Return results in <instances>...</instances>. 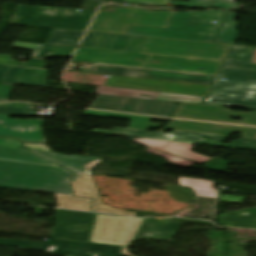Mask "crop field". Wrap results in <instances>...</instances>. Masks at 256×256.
<instances>
[{
	"mask_svg": "<svg viewBox=\"0 0 256 256\" xmlns=\"http://www.w3.org/2000/svg\"><path fill=\"white\" fill-rule=\"evenodd\" d=\"M254 50L231 46L203 104L256 107V64H251Z\"/></svg>",
	"mask_w": 256,
	"mask_h": 256,
	"instance_id": "crop-field-1",
	"label": "crop field"
},
{
	"mask_svg": "<svg viewBox=\"0 0 256 256\" xmlns=\"http://www.w3.org/2000/svg\"><path fill=\"white\" fill-rule=\"evenodd\" d=\"M224 11L173 13L166 28L130 25L126 35L212 43ZM211 21H216L211 24Z\"/></svg>",
	"mask_w": 256,
	"mask_h": 256,
	"instance_id": "crop-field-2",
	"label": "crop field"
},
{
	"mask_svg": "<svg viewBox=\"0 0 256 256\" xmlns=\"http://www.w3.org/2000/svg\"><path fill=\"white\" fill-rule=\"evenodd\" d=\"M71 172L62 167L0 160V187L72 195Z\"/></svg>",
	"mask_w": 256,
	"mask_h": 256,
	"instance_id": "crop-field-3",
	"label": "crop field"
},
{
	"mask_svg": "<svg viewBox=\"0 0 256 256\" xmlns=\"http://www.w3.org/2000/svg\"><path fill=\"white\" fill-rule=\"evenodd\" d=\"M95 12L19 5L10 24L85 31Z\"/></svg>",
	"mask_w": 256,
	"mask_h": 256,
	"instance_id": "crop-field-4",
	"label": "crop field"
},
{
	"mask_svg": "<svg viewBox=\"0 0 256 256\" xmlns=\"http://www.w3.org/2000/svg\"><path fill=\"white\" fill-rule=\"evenodd\" d=\"M0 245L52 252L59 256H121L122 247L51 239L46 243L0 239Z\"/></svg>",
	"mask_w": 256,
	"mask_h": 256,
	"instance_id": "crop-field-5",
	"label": "crop field"
},
{
	"mask_svg": "<svg viewBox=\"0 0 256 256\" xmlns=\"http://www.w3.org/2000/svg\"><path fill=\"white\" fill-rule=\"evenodd\" d=\"M228 46L147 38L141 52L222 61Z\"/></svg>",
	"mask_w": 256,
	"mask_h": 256,
	"instance_id": "crop-field-6",
	"label": "crop field"
},
{
	"mask_svg": "<svg viewBox=\"0 0 256 256\" xmlns=\"http://www.w3.org/2000/svg\"><path fill=\"white\" fill-rule=\"evenodd\" d=\"M142 221L98 214L90 242L129 247Z\"/></svg>",
	"mask_w": 256,
	"mask_h": 256,
	"instance_id": "crop-field-7",
	"label": "crop field"
},
{
	"mask_svg": "<svg viewBox=\"0 0 256 256\" xmlns=\"http://www.w3.org/2000/svg\"><path fill=\"white\" fill-rule=\"evenodd\" d=\"M177 106L172 102L98 95L90 108L171 117Z\"/></svg>",
	"mask_w": 256,
	"mask_h": 256,
	"instance_id": "crop-field-8",
	"label": "crop field"
},
{
	"mask_svg": "<svg viewBox=\"0 0 256 256\" xmlns=\"http://www.w3.org/2000/svg\"><path fill=\"white\" fill-rule=\"evenodd\" d=\"M105 86L182 94L199 97L204 96L206 89L208 87L204 85L164 82L115 76H110Z\"/></svg>",
	"mask_w": 256,
	"mask_h": 256,
	"instance_id": "crop-field-9",
	"label": "crop field"
},
{
	"mask_svg": "<svg viewBox=\"0 0 256 256\" xmlns=\"http://www.w3.org/2000/svg\"><path fill=\"white\" fill-rule=\"evenodd\" d=\"M90 71L91 73L105 74V75L155 79V80L204 84V85H209L213 79V77L211 76L172 73V72H163V71H156V70H140V69H132V68H124V67L107 66V65L92 66Z\"/></svg>",
	"mask_w": 256,
	"mask_h": 256,
	"instance_id": "crop-field-10",
	"label": "crop field"
},
{
	"mask_svg": "<svg viewBox=\"0 0 256 256\" xmlns=\"http://www.w3.org/2000/svg\"><path fill=\"white\" fill-rule=\"evenodd\" d=\"M53 238L87 242L94 215L84 212L56 210Z\"/></svg>",
	"mask_w": 256,
	"mask_h": 256,
	"instance_id": "crop-field-11",
	"label": "crop field"
},
{
	"mask_svg": "<svg viewBox=\"0 0 256 256\" xmlns=\"http://www.w3.org/2000/svg\"><path fill=\"white\" fill-rule=\"evenodd\" d=\"M175 117L256 126V112H253V113L232 112L230 110L224 109L222 107H216V106L181 103ZM231 117H235V118L248 117L250 118V121L249 122L233 121L230 119Z\"/></svg>",
	"mask_w": 256,
	"mask_h": 256,
	"instance_id": "crop-field-12",
	"label": "crop field"
},
{
	"mask_svg": "<svg viewBox=\"0 0 256 256\" xmlns=\"http://www.w3.org/2000/svg\"><path fill=\"white\" fill-rule=\"evenodd\" d=\"M226 138L228 137L173 131L172 134L158 133L157 136L147 137L144 139L172 141V142H181V143L214 146V147H224V148L256 151V148H251V146H256V140L238 138L236 142H230L229 144H222Z\"/></svg>",
	"mask_w": 256,
	"mask_h": 256,
	"instance_id": "crop-field-13",
	"label": "crop field"
},
{
	"mask_svg": "<svg viewBox=\"0 0 256 256\" xmlns=\"http://www.w3.org/2000/svg\"><path fill=\"white\" fill-rule=\"evenodd\" d=\"M148 56L149 54L145 53L113 52L78 48L72 61L140 67Z\"/></svg>",
	"mask_w": 256,
	"mask_h": 256,
	"instance_id": "crop-field-14",
	"label": "crop field"
},
{
	"mask_svg": "<svg viewBox=\"0 0 256 256\" xmlns=\"http://www.w3.org/2000/svg\"><path fill=\"white\" fill-rule=\"evenodd\" d=\"M220 61L153 55L145 67L213 75ZM205 69L204 71L197 70Z\"/></svg>",
	"mask_w": 256,
	"mask_h": 256,
	"instance_id": "crop-field-15",
	"label": "crop field"
},
{
	"mask_svg": "<svg viewBox=\"0 0 256 256\" xmlns=\"http://www.w3.org/2000/svg\"><path fill=\"white\" fill-rule=\"evenodd\" d=\"M164 130H180L197 133L229 136L231 133H242L243 138L256 139V128H245L228 125L172 120L159 132Z\"/></svg>",
	"mask_w": 256,
	"mask_h": 256,
	"instance_id": "crop-field-16",
	"label": "crop field"
},
{
	"mask_svg": "<svg viewBox=\"0 0 256 256\" xmlns=\"http://www.w3.org/2000/svg\"><path fill=\"white\" fill-rule=\"evenodd\" d=\"M42 120H17L0 115V136L16 137L24 142H44Z\"/></svg>",
	"mask_w": 256,
	"mask_h": 256,
	"instance_id": "crop-field-17",
	"label": "crop field"
},
{
	"mask_svg": "<svg viewBox=\"0 0 256 256\" xmlns=\"http://www.w3.org/2000/svg\"><path fill=\"white\" fill-rule=\"evenodd\" d=\"M135 141L150 147L146 151H149L151 153H154V154H157V155H160V156H164V157H166L165 158L166 160H170L169 163L176 164V165L186 167V168H188L189 165H192L195 162L179 159V158H176V157H173V156H169V155H166V154H163V153H160V152L153 151L151 149L155 148V149L160 150L162 148L163 149L162 151L172 153V154L182 156V157L192 159V160L202 162V163L211 159V158H208V157H204V156L189 152L192 149V146H193V145H190V144L162 142V141H153V140H144V139H136ZM185 152H187L188 154H185Z\"/></svg>",
	"mask_w": 256,
	"mask_h": 256,
	"instance_id": "crop-field-18",
	"label": "crop field"
},
{
	"mask_svg": "<svg viewBox=\"0 0 256 256\" xmlns=\"http://www.w3.org/2000/svg\"><path fill=\"white\" fill-rule=\"evenodd\" d=\"M146 38L95 33L87 48L140 52Z\"/></svg>",
	"mask_w": 256,
	"mask_h": 256,
	"instance_id": "crop-field-19",
	"label": "crop field"
},
{
	"mask_svg": "<svg viewBox=\"0 0 256 256\" xmlns=\"http://www.w3.org/2000/svg\"><path fill=\"white\" fill-rule=\"evenodd\" d=\"M71 183L75 196L95 199L92 211L136 216L133 212L118 210L101 202L89 175L75 174Z\"/></svg>",
	"mask_w": 256,
	"mask_h": 256,
	"instance_id": "crop-field-20",
	"label": "crop field"
},
{
	"mask_svg": "<svg viewBox=\"0 0 256 256\" xmlns=\"http://www.w3.org/2000/svg\"><path fill=\"white\" fill-rule=\"evenodd\" d=\"M181 223L145 219L133 241L159 239L172 241Z\"/></svg>",
	"mask_w": 256,
	"mask_h": 256,
	"instance_id": "crop-field-21",
	"label": "crop field"
},
{
	"mask_svg": "<svg viewBox=\"0 0 256 256\" xmlns=\"http://www.w3.org/2000/svg\"><path fill=\"white\" fill-rule=\"evenodd\" d=\"M132 17V14L98 11L88 31L125 34Z\"/></svg>",
	"mask_w": 256,
	"mask_h": 256,
	"instance_id": "crop-field-22",
	"label": "crop field"
},
{
	"mask_svg": "<svg viewBox=\"0 0 256 256\" xmlns=\"http://www.w3.org/2000/svg\"><path fill=\"white\" fill-rule=\"evenodd\" d=\"M49 71L11 67L3 83L46 88Z\"/></svg>",
	"mask_w": 256,
	"mask_h": 256,
	"instance_id": "crop-field-23",
	"label": "crop field"
},
{
	"mask_svg": "<svg viewBox=\"0 0 256 256\" xmlns=\"http://www.w3.org/2000/svg\"><path fill=\"white\" fill-rule=\"evenodd\" d=\"M38 156L59 163L75 173L90 174V167L95 160H104L99 158L79 157V156H64L53 154L54 152L32 150Z\"/></svg>",
	"mask_w": 256,
	"mask_h": 256,
	"instance_id": "crop-field-24",
	"label": "crop field"
},
{
	"mask_svg": "<svg viewBox=\"0 0 256 256\" xmlns=\"http://www.w3.org/2000/svg\"><path fill=\"white\" fill-rule=\"evenodd\" d=\"M96 93L103 94V95L132 97V98H138L140 94H147V95L158 96L156 100L186 102V103H195V104H200L203 100V98H199V97L154 93V92L110 88V87H98Z\"/></svg>",
	"mask_w": 256,
	"mask_h": 256,
	"instance_id": "crop-field-25",
	"label": "crop field"
},
{
	"mask_svg": "<svg viewBox=\"0 0 256 256\" xmlns=\"http://www.w3.org/2000/svg\"><path fill=\"white\" fill-rule=\"evenodd\" d=\"M117 12L135 14L131 24L165 27L171 11H143L138 8H117Z\"/></svg>",
	"mask_w": 256,
	"mask_h": 256,
	"instance_id": "crop-field-26",
	"label": "crop field"
},
{
	"mask_svg": "<svg viewBox=\"0 0 256 256\" xmlns=\"http://www.w3.org/2000/svg\"><path fill=\"white\" fill-rule=\"evenodd\" d=\"M84 115L131 120L128 128L142 129V130H148L150 128L160 129L164 126L162 124L149 123L152 119L170 120L167 118L124 115V114L107 113V112H99V111H91V110H86Z\"/></svg>",
	"mask_w": 256,
	"mask_h": 256,
	"instance_id": "crop-field-27",
	"label": "crop field"
},
{
	"mask_svg": "<svg viewBox=\"0 0 256 256\" xmlns=\"http://www.w3.org/2000/svg\"><path fill=\"white\" fill-rule=\"evenodd\" d=\"M123 2L131 3H145V4H160L168 5V3L179 6V7H188V8H200V9H209L211 8H223V9H232L239 3H229V2H217V1H206V0H190L189 3H180L172 2L168 0H122Z\"/></svg>",
	"mask_w": 256,
	"mask_h": 256,
	"instance_id": "crop-field-28",
	"label": "crop field"
},
{
	"mask_svg": "<svg viewBox=\"0 0 256 256\" xmlns=\"http://www.w3.org/2000/svg\"><path fill=\"white\" fill-rule=\"evenodd\" d=\"M218 220L223 226L256 229V208L244 209L243 212L230 216H219Z\"/></svg>",
	"mask_w": 256,
	"mask_h": 256,
	"instance_id": "crop-field-29",
	"label": "crop field"
},
{
	"mask_svg": "<svg viewBox=\"0 0 256 256\" xmlns=\"http://www.w3.org/2000/svg\"><path fill=\"white\" fill-rule=\"evenodd\" d=\"M0 159L1 160H10V161H19V162H28V163H37L45 165H54L49 162L42 160L36 155L30 153L25 149L20 148H10V147H1L0 146ZM56 166V165H54Z\"/></svg>",
	"mask_w": 256,
	"mask_h": 256,
	"instance_id": "crop-field-30",
	"label": "crop field"
},
{
	"mask_svg": "<svg viewBox=\"0 0 256 256\" xmlns=\"http://www.w3.org/2000/svg\"><path fill=\"white\" fill-rule=\"evenodd\" d=\"M76 48L45 45L39 58H31L26 66L45 68L44 58L72 57Z\"/></svg>",
	"mask_w": 256,
	"mask_h": 256,
	"instance_id": "crop-field-31",
	"label": "crop field"
},
{
	"mask_svg": "<svg viewBox=\"0 0 256 256\" xmlns=\"http://www.w3.org/2000/svg\"><path fill=\"white\" fill-rule=\"evenodd\" d=\"M84 32L53 29L46 44L77 47Z\"/></svg>",
	"mask_w": 256,
	"mask_h": 256,
	"instance_id": "crop-field-32",
	"label": "crop field"
},
{
	"mask_svg": "<svg viewBox=\"0 0 256 256\" xmlns=\"http://www.w3.org/2000/svg\"><path fill=\"white\" fill-rule=\"evenodd\" d=\"M178 180L181 186H189L193 188L198 197L204 196L219 200V191L213 188V181H204L185 177L178 178Z\"/></svg>",
	"mask_w": 256,
	"mask_h": 256,
	"instance_id": "crop-field-33",
	"label": "crop field"
},
{
	"mask_svg": "<svg viewBox=\"0 0 256 256\" xmlns=\"http://www.w3.org/2000/svg\"><path fill=\"white\" fill-rule=\"evenodd\" d=\"M234 18L235 13L227 12L225 24L215 43L235 44L239 32L236 31L238 23L234 22Z\"/></svg>",
	"mask_w": 256,
	"mask_h": 256,
	"instance_id": "crop-field-34",
	"label": "crop field"
},
{
	"mask_svg": "<svg viewBox=\"0 0 256 256\" xmlns=\"http://www.w3.org/2000/svg\"><path fill=\"white\" fill-rule=\"evenodd\" d=\"M57 200L58 206L62 208L78 209V210H90L92 199L73 197L67 195L54 194Z\"/></svg>",
	"mask_w": 256,
	"mask_h": 256,
	"instance_id": "crop-field-35",
	"label": "crop field"
},
{
	"mask_svg": "<svg viewBox=\"0 0 256 256\" xmlns=\"http://www.w3.org/2000/svg\"><path fill=\"white\" fill-rule=\"evenodd\" d=\"M33 104L29 103H4L0 104V114L27 116L28 110L32 109Z\"/></svg>",
	"mask_w": 256,
	"mask_h": 256,
	"instance_id": "crop-field-36",
	"label": "crop field"
},
{
	"mask_svg": "<svg viewBox=\"0 0 256 256\" xmlns=\"http://www.w3.org/2000/svg\"><path fill=\"white\" fill-rule=\"evenodd\" d=\"M91 132L104 133V134H113V135H123V136H132V137H139V136L154 134V132H149V131L124 129V128H118V127H114L112 131L92 129Z\"/></svg>",
	"mask_w": 256,
	"mask_h": 256,
	"instance_id": "crop-field-37",
	"label": "crop field"
},
{
	"mask_svg": "<svg viewBox=\"0 0 256 256\" xmlns=\"http://www.w3.org/2000/svg\"><path fill=\"white\" fill-rule=\"evenodd\" d=\"M21 142L13 139V138H0V145L1 146H10V147H20ZM23 146L27 147V148H33V149H41V150H49L44 144H27V143H23Z\"/></svg>",
	"mask_w": 256,
	"mask_h": 256,
	"instance_id": "crop-field-38",
	"label": "crop field"
},
{
	"mask_svg": "<svg viewBox=\"0 0 256 256\" xmlns=\"http://www.w3.org/2000/svg\"><path fill=\"white\" fill-rule=\"evenodd\" d=\"M44 45L14 41L12 47L34 50L31 57H39Z\"/></svg>",
	"mask_w": 256,
	"mask_h": 256,
	"instance_id": "crop-field-39",
	"label": "crop field"
},
{
	"mask_svg": "<svg viewBox=\"0 0 256 256\" xmlns=\"http://www.w3.org/2000/svg\"><path fill=\"white\" fill-rule=\"evenodd\" d=\"M14 85L0 84V99L8 100Z\"/></svg>",
	"mask_w": 256,
	"mask_h": 256,
	"instance_id": "crop-field-40",
	"label": "crop field"
},
{
	"mask_svg": "<svg viewBox=\"0 0 256 256\" xmlns=\"http://www.w3.org/2000/svg\"><path fill=\"white\" fill-rule=\"evenodd\" d=\"M27 62L12 61L9 55L0 54V64L25 66Z\"/></svg>",
	"mask_w": 256,
	"mask_h": 256,
	"instance_id": "crop-field-41",
	"label": "crop field"
},
{
	"mask_svg": "<svg viewBox=\"0 0 256 256\" xmlns=\"http://www.w3.org/2000/svg\"><path fill=\"white\" fill-rule=\"evenodd\" d=\"M222 201L242 203L244 197L221 195Z\"/></svg>",
	"mask_w": 256,
	"mask_h": 256,
	"instance_id": "crop-field-42",
	"label": "crop field"
},
{
	"mask_svg": "<svg viewBox=\"0 0 256 256\" xmlns=\"http://www.w3.org/2000/svg\"><path fill=\"white\" fill-rule=\"evenodd\" d=\"M93 34H94V33L87 32V34H86V36H85V38H84V40H83L81 46L86 47L87 44H88V42H89L90 39L92 38Z\"/></svg>",
	"mask_w": 256,
	"mask_h": 256,
	"instance_id": "crop-field-43",
	"label": "crop field"
},
{
	"mask_svg": "<svg viewBox=\"0 0 256 256\" xmlns=\"http://www.w3.org/2000/svg\"><path fill=\"white\" fill-rule=\"evenodd\" d=\"M8 67L9 66H6V65H0V83H1V81H2V79L4 77V75H5Z\"/></svg>",
	"mask_w": 256,
	"mask_h": 256,
	"instance_id": "crop-field-44",
	"label": "crop field"
},
{
	"mask_svg": "<svg viewBox=\"0 0 256 256\" xmlns=\"http://www.w3.org/2000/svg\"><path fill=\"white\" fill-rule=\"evenodd\" d=\"M122 255L134 256V255H132V254L129 252L128 248H126V247L123 248Z\"/></svg>",
	"mask_w": 256,
	"mask_h": 256,
	"instance_id": "crop-field-45",
	"label": "crop field"
},
{
	"mask_svg": "<svg viewBox=\"0 0 256 256\" xmlns=\"http://www.w3.org/2000/svg\"><path fill=\"white\" fill-rule=\"evenodd\" d=\"M242 211V210H241ZM239 211V212H241ZM234 213H237V212H233V213H223V214H220V215H230V214H234Z\"/></svg>",
	"mask_w": 256,
	"mask_h": 256,
	"instance_id": "crop-field-46",
	"label": "crop field"
},
{
	"mask_svg": "<svg viewBox=\"0 0 256 256\" xmlns=\"http://www.w3.org/2000/svg\"><path fill=\"white\" fill-rule=\"evenodd\" d=\"M139 98L152 99V100H155V99H156V97H155V96H153V98H146V97H139Z\"/></svg>",
	"mask_w": 256,
	"mask_h": 256,
	"instance_id": "crop-field-47",
	"label": "crop field"
},
{
	"mask_svg": "<svg viewBox=\"0 0 256 256\" xmlns=\"http://www.w3.org/2000/svg\"><path fill=\"white\" fill-rule=\"evenodd\" d=\"M217 1H229V2H234L235 0H217Z\"/></svg>",
	"mask_w": 256,
	"mask_h": 256,
	"instance_id": "crop-field-48",
	"label": "crop field"
},
{
	"mask_svg": "<svg viewBox=\"0 0 256 256\" xmlns=\"http://www.w3.org/2000/svg\"><path fill=\"white\" fill-rule=\"evenodd\" d=\"M98 162H99V161L94 162L92 166H94V165H95L96 163H98Z\"/></svg>",
	"mask_w": 256,
	"mask_h": 256,
	"instance_id": "crop-field-49",
	"label": "crop field"
},
{
	"mask_svg": "<svg viewBox=\"0 0 256 256\" xmlns=\"http://www.w3.org/2000/svg\"><path fill=\"white\" fill-rule=\"evenodd\" d=\"M0 102H4L3 100H0Z\"/></svg>",
	"mask_w": 256,
	"mask_h": 256,
	"instance_id": "crop-field-50",
	"label": "crop field"
}]
</instances>
